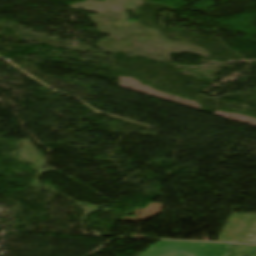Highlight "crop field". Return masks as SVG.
I'll use <instances>...</instances> for the list:
<instances>
[{
	"mask_svg": "<svg viewBox=\"0 0 256 256\" xmlns=\"http://www.w3.org/2000/svg\"><path fill=\"white\" fill-rule=\"evenodd\" d=\"M140 256H256V246L160 241Z\"/></svg>",
	"mask_w": 256,
	"mask_h": 256,
	"instance_id": "8a807250",
	"label": "crop field"
}]
</instances>
